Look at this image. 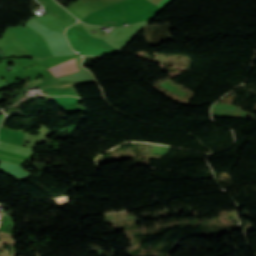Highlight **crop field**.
<instances>
[{"instance_id": "crop-field-1", "label": "crop field", "mask_w": 256, "mask_h": 256, "mask_svg": "<svg viewBox=\"0 0 256 256\" xmlns=\"http://www.w3.org/2000/svg\"><path fill=\"white\" fill-rule=\"evenodd\" d=\"M121 17H128L122 2L115 4L113 6H110V7L104 8L97 12H93V13L87 15L86 18L83 20L121 18Z\"/></svg>"}, {"instance_id": "crop-field-2", "label": "crop field", "mask_w": 256, "mask_h": 256, "mask_svg": "<svg viewBox=\"0 0 256 256\" xmlns=\"http://www.w3.org/2000/svg\"><path fill=\"white\" fill-rule=\"evenodd\" d=\"M48 70L56 77H61L64 75H67L69 73L78 71V67L76 64L75 58L68 60L66 62L60 63L58 65H55L53 67L48 68Z\"/></svg>"}, {"instance_id": "crop-field-4", "label": "crop field", "mask_w": 256, "mask_h": 256, "mask_svg": "<svg viewBox=\"0 0 256 256\" xmlns=\"http://www.w3.org/2000/svg\"><path fill=\"white\" fill-rule=\"evenodd\" d=\"M169 1L170 0H163L158 6L162 8Z\"/></svg>"}, {"instance_id": "crop-field-3", "label": "crop field", "mask_w": 256, "mask_h": 256, "mask_svg": "<svg viewBox=\"0 0 256 256\" xmlns=\"http://www.w3.org/2000/svg\"><path fill=\"white\" fill-rule=\"evenodd\" d=\"M118 2H121V1H99V2H86V3L89 4L91 7H93L95 10H99L101 8L113 5Z\"/></svg>"}]
</instances>
